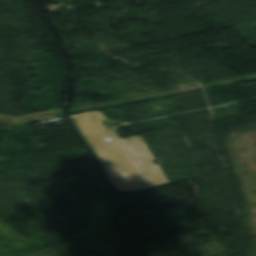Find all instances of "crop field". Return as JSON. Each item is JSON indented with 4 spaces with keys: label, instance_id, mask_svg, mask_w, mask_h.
<instances>
[{
    "label": "crop field",
    "instance_id": "obj_1",
    "mask_svg": "<svg viewBox=\"0 0 256 256\" xmlns=\"http://www.w3.org/2000/svg\"><path fill=\"white\" fill-rule=\"evenodd\" d=\"M75 123L96 152L108 180L120 193L169 184L141 137L121 140L115 131H106L98 113L74 118ZM104 137L111 140L106 141Z\"/></svg>",
    "mask_w": 256,
    "mask_h": 256
}]
</instances>
